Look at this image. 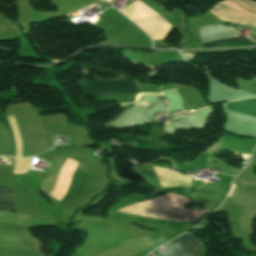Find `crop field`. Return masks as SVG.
Instances as JSON below:
<instances>
[{"instance_id":"obj_7","label":"crop field","mask_w":256,"mask_h":256,"mask_svg":"<svg viewBox=\"0 0 256 256\" xmlns=\"http://www.w3.org/2000/svg\"><path fill=\"white\" fill-rule=\"evenodd\" d=\"M153 2H155L156 4H158L159 6L164 2V0H152ZM122 12V11H121ZM123 13V12H122ZM126 15V14H125ZM127 16V15H126ZM128 17V16H127ZM132 20V19H131Z\"/></svg>"},{"instance_id":"obj_2","label":"crop field","mask_w":256,"mask_h":256,"mask_svg":"<svg viewBox=\"0 0 256 256\" xmlns=\"http://www.w3.org/2000/svg\"><path fill=\"white\" fill-rule=\"evenodd\" d=\"M174 256H200L196 239L188 234H183L171 241Z\"/></svg>"},{"instance_id":"obj_6","label":"crop field","mask_w":256,"mask_h":256,"mask_svg":"<svg viewBox=\"0 0 256 256\" xmlns=\"http://www.w3.org/2000/svg\"><path fill=\"white\" fill-rule=\"evenodd\" d=\"M249 42H253V41H250L248 37H245V38L238 37V38H230V39H225V40L215 41V42H206L199 45L203 47H210V46H216V45L249 43Z\"/></svg>"},{"instance_id":"obj_8","label":"crop field","mask_w":256,"mask_h":256,"mask_svg":"<svg viewBox=\"0 0 256 256\" xmlns=\"http://www.w3.org/2000/svg\"><path fill=\"white\" fill-rule=\"evenodd\" d=\"M233 187H234V186H232V189H233ZM232 189H231V191H232ZM231 191H230V194H231ZM230 194H229V196H230Z\"/></svg>"},{"instance_id":"obj_3","label":"crop field","mask_w":256,"mask_h":256,"mask_svg":"<svg viewBox=\"0 0 256 256\" xmlns=\"http://www.w3.org/2000/svg\"><path fill=\"white\" fill-rule=\"evenodd\" d=\"M76 164H77L76 161L68 159L66 165L64 166V168L61 172V176H60L58 185L51 195L55 199L60 201L64 197V195L69 187L71 174H72Z\"/></svg>"},{"instance_id":"obj_1","label":"crop field","mask_w":256,"mask_h":256,"mask_svg":"<svg viewBox=\"0 0 256 256\" xmlns=\"http://www.w3.org/2000/svg\"><path fill=\"white\" fill-rule=\"evenodd\" d=\"M82 91L91 95L94 99L111 94H139L140 92L134 86L131 77L121 76L118 79L106 80L97 79L91 83L81 84Z\"/></svg>"},{"instance_id":"obj_5","label":"crop field","mask_w":256,"mask_h":256,"mask_svg":"<svg viewBox=\"0 0 256 256\" xmlns=\"http://www.w3.org/2000/svg\"><path fill=\"white\" fill-rule=\"evenodd\" d=\"M0 211L14 212L11 191L8 186L0 187Z\"/></svg>"},{"instance_id":"obj_4","label":"crop field","mask_w":256,"mask_h":256,"mask_svg":"<svg viewBox=\"0 0 256 256\" xmlns=\"http://www.w3.org/2000/svg\"><path fill=\"white\" fill-rule=\"evenodd\" d=\"M188 199H186L183 196L180 195H174V194H162L154 199L148 200L150 202H156V203H162V204H170V205H178V206H184V204L187 202Z\"/></svg>"}]
</instances>
